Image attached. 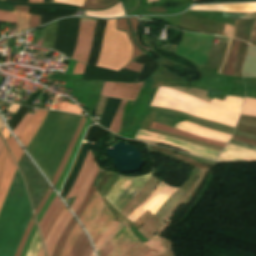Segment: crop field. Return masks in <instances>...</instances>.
I'll list each match as a JSON object with an SVG mask.
<instances>
[{"instance_id": "crop-field-36", "label": "crop field", "mask_w": 256, "mask_h": 256, "mask_svg": "<svg viewBox=\"0 0 256 256\" xmlns=\"http://www.w3.org/2000/svg\"><path fill=\"white\" fill-rule=\"evenodd\" d=\"M118 0H86L85 5L80 8L85 9H102L112 6Z\"/></svg>"}, {"instance_id": "crop-field-64", "label": "crop field", "mask_w": 256, "mask_h": 256, "mask_svg": "<svg viewBox=\"0 0 256 256\" xmlns=\"http://www.w3.org/2000/svg\"><path fill=\"white\" fill-rule=\"evenodd\" d=\"M19 105L11 103V105L8 107L7 111L15 114L16 110L18 109Z\"/></svg>"}, {"instance_id": "crop-field-34", "label": "crop field", "mask_w": 256, "mask_h": 256, "mask_svg": "<svg viewBox=\"0 0 256 256\" xmlns=\"http://www.w3.org/2000/svg\"><path fill=\"white\" fill-rule=\"evenodd\" d=\"M29 7L15 5V12L12 11H1L0 10V21L6 22H17L18 12L27 13Z\"/></svg>"}, {"instance_id": "crop-field-62", "label": "crop field", "mask_w": 256, "mask_h": 256, "mask_svg": "<svg viewBox=\"0 0 256 256\" xmlns=\"http://www.w3.org/2000/svg\"><path fill=\"white\" fill-rule=\"evenodd\" d=\"M231 139H234V140H238V141H242V142H246V143H250V144L256 145V142H254V141H250V140H247V139H244V138L235 136V135H233Z\"/></svg>"}, {"instance_id": "crop-field-9", "label": "crop field", "mask_w": 256, "mask_h": 256, "mask_svg": "<svg viewBox=\"0 0 256 256\" xmlns=\"http://www.w3.org/2000/svg\"><path fill=\"white\" fill-rule=\"evenodd\" d=\"M137 241L126 224L111 239L100 256H124Z\"/></svg>"}, {"instance_id": "crop-field-66", "label": "crop field", "mask_w": 256, "mask_h": 256, "mask_svg": "<svg viewBox=\"0 0 256 256\" xmlns=\"http://www.w3.org/2000/svg\"><path fill=\"white\" fill-rule=\"evenodd\" d=\"M162 256H172V247H171V243L168 246V248L166 249L165 253Z\"/></svg>"}, {"instance_id": "crop-field-5", "label": "crop field", "mask_w": 256, "mask_h": 256, "mask_svg": "<svg viewBox=\"0 0 256 256\" xmlns=\"http://www.w3.org/2000/svg\"><path fill=\"white\" fill-rule=\"evenodd\" d=\"M18 166L25 177L29 194L35 208L48 184L28 159L25 153L22 156Z\"/></svg>"}, {"instance_id": "crop-field-56", "label": "crop field", "mask_w": 256, "mask_h": 256, "mask_svg": "<svg viewBox=\"0 0 256 256\" xmlns=\"http://www.w3.org/2000/svg\"><path fill=\"white\" fill-rule=\"evenodd\" d=\"M53 189L51 187H49L46 195L44 196L43 200L41 201V203L39 204L38 208L35 211L36 217L40 211V209L42 208V206L44 205V203L46 202V200L48 199V197L50 196V194L52 193Z\"/></svg>"}, {"instance_id": "crop-field-73", "label": "crop field", "mask_w": 256, "mask_h": 256, "mask_svg": "<svg viewBox=\"0 0 256 256\" xmlns=\"http://www.w3.org/2000/svg\"><path fill=\"white\" fill-rule=\"evenodd\" d=\"M92 256H95V255L92 253Z\"/></svg>"}, {"instance_id": "crop-field-44", "label": "crop field", "mask_w": 256, "mask_h": 256, "mask_svg": "<svg viewBox=\"0 0 256 256\" xmlns=\"http://www.w3.org/2000/svg\"><path fill=\"white\" fill-rule=\"evenodd\" d=\"M29 16H30V14H23V13H19L18 14V29H17V33L29 29L28 28Z\"/></svg>"}, {"instance_id": "crop-field-43", "label": "crop field", "mask_w": 256, "mask_h": 256, "mask_svg": "<svg viewBox=\"0 0 256 256\" xmlns=\"http://www.w3.org/2000/svg\"><path fill=\"white\" fill-rule=\"evenodd\" d=\"M40 245H41V242H40L39 235H38V232H37V229H36V232H35V235L33 237V240H32V243L30 245L27 256H36Z\"/></svg>"}, {"instance_id": "crop-field-2", "label": "crop field", "mask_w": 256, "mask_h": 256, "mask_svg": "<svg viewBox=\"0 0 256 256\" xmlns=\"http://www.w3.org/2000/svg\"><path fill=\"white\" fill-rule=\"evenodd\" d=\"M22 177L16 170L0 212V256H14L32 218Z\"/></svg>"}, {"instance_id": "crop-field-21", "label": "crop field", "mask_w": 256, "mask_h": 256, "mask_svg": "<svg viewBox=\"0 0 256 256\" xmlns=\"http://www.w3.org/2000/svg\"><path fill=\"white\" fill-rule=\"evenodd\" d=\"M167 220L158 218L156 216H151L143 226H141L138 230L140 234L146 237L148 240L162 227V225Z\"/></svg>"}, {"instance_id": "crop-field-20", "label": "crop field", "mask_w": 256, "mask_h": 256, "mask_svg": "<svg viewBox=\"0 0 256 256\" xmlns=\"http://www.w3.org/2000/svg\"><path fill=\"white\" fill-rule=\"evenodd\" d=\"M116 27H117L118 30L126 31L130 40H131V42H132V45H133V48H134V53H133V56H132V60H134L138 55L144 53L135 44V42L132 38L131 31H130V28H129V25H128V22H127L126 18L116 20ZM132 60L124 68L140 72L143 65L138 64V63H134V62H132Z\"/></svg>"}, {"instance_id": "crop-field-65", "label": "crop field", "mask_w": 256, "mask_h": 256, "mask_svg": "<svg viewBox=\"0 0 256 256\" xmlns=\"http://www.w3.org/2000/svg\"><path fill=\"white\" fill-rule=\"evenodd\" d=\"M142 242L139 240L127 253L125 256H130L132 252L141 244Z\"/></svg>"}, {"instance_id": "crop-field-27", "label": "crop field", "mask_w": 256, "mask_h": 256, "mask_svg": "<svg viewBox=\"0 0 256 256\" xmlns=\"http://www.w3.org/2000/svg\"><path fill=\"white\" fill-rule=\"evenodd\" d=\"M89 121H90V119H87V121H86V123H85V125H84V127H83V129H82V131H81L77 141H76V144H75V146H74V148L72 150V153H71V155H70V157L68 159V162H67V164H66V166L64 168V171H63V173H62V175H61V177H60V179H59V181H58V183H57V185L55 187L58 192H60V187H61V185H62V183H63V181H64V179H65V177H66V175H67L71 165H72V162H73V159L75 157L76 151L78 149V146L80 144V141L82 139V136H83V134L85 132V129H86Z\"/></svg>"}, {"instance_id": "crop-field-52", "label": "crop field", "mask_w": 256, "mask_h": 256, "mask_svg": "<svg viewBox=\"0 0 256 256\" xmlns=\"http://www.w3.org/2000/svg\"><path fill=\"white\" fill-rule=\"evenodd\" d=\"M35 229H36V224H34L32 230H31V232H30V234H29L28 240H27V242H26L25 248H24V250H23L21 256H26V253H27V251H28V248H29V245H30V243H31L32 237H33V235H34Z\"/></svg>"}, {"instance_id": "crop-field-63", "label": "crop field", "mask_w": 256, "mask_h": 256, "mask_svg": "<svg viewBox=\"0 0 256 256\" xmlns=\"http://www.w3.org/2000/svg\"><path fill=\"white\" fill-rule=\"evenodd\" d=\"M238 123L256 127V121L240 120L239 119Z\"/></svg>"}, {"instance_id": "crop-field-58", "label": "crop field", "mask_w": 256, "mask_h": 256, "mask_svg": "<svg viewBox=\"0 0 256 256\" xmlns=\"http://www.w3.org/2000/svg\"><path fill=\"white\" fill-rule=\"evenodd\" d=\"M40 16L31 14L29 28H33L39 25Z\"/></svg>"}, {"instance_id": "crop-field-67", "label": "crop field", "mask_w": 256, "mask_h": 256, "mask_svg": "<svg viewBox=\"0 0 256 256\" xmlns=\"http://www.w3.org/2000/svg\"><path fill=\"white\" fill-rule=\"evenodd\" d=\"M1 133L3 134V136H4L5 140H6V138L9 136L10 132L8 133V131H7L6 127H5L4 130Z\"/></svg>"}, {"instance_id": "crop-field-47", "label": "crop field", "mask_w": 256, "mask_h": 256, "mask_svg": "<svg viewBox=\"0 0 256 256\" xmlns=\"http://www.w3.org/2000/svg\"><path fill=\"white\" fill-rule=\"evenodd\" d=\"M119 225L117 222H113L109 229L102 235V237L99 239V241L96 243L95 247L96 250L98 251V248L100 245L103 243V241L108 237V235Z\"/></svg>"}, {"instance_id": "crop-field-10", "label": "crop field", "mask_w": 256, "mask_h": 256, "mask_svg": "<svg viewBox=\"0 0 256 256\" xmlns=\"http://www.w3.org/2000/svg\"><path fill=\"white\" fill-rule=\"evenodd\" d=\"M140 73L121 69L119 72L86 65L83 80L98 79L111 81L136 82Z\"/></svg>"}, {"instance_id": "crop-field-59", "label": "crop field", "mask_w": 256, "mask_h": 256, "mask_svg": "<svg viewBox=\"0 0 256 256\" xmlns=\"http://www.w3.org/2000/svg\"><path fill=\"white\" fill-rule=\"evenodd\" d=\"M148 248L149 247L142 243L131 256H141Z\"/></svg>"}, {"instance_id": "crop-field-17", "label": "crop field", "mask_w": 256, "mask_h": 256, "mask_svg": "<svg viewBox=\"0 0 256 256\" xmlns=\"http://www.w3.org/2000/svg\"><path fill=\"white\" fill-rule=\"evenodd\" d=\"M47 110L38 109L36 111L34 117L31 119V121L28 123V125L23 129V131L19 134V140L26 148L27 144L29 143L30 139L35 134L36 130L40 126Z\"/></svg>"}, {"instance_id": "crop-field-48", "label": "crop field", "mask_w": 256, "mask_h": 256, "mask_svg": "<svg viewBox=\"0 0 256 256\" xmlns=\"http://www.w3.org/2000/svg\"><path fill=\"white\" fill-rule=\"evenodd\" d=\"M34 222H35V220H34V218H32V220H31V222H30V224H29V226H28V228H27V230H26V233H25V235H24V237H23V239H22V241H21V243H20V245H19V247H18V250H17L15 256H20L21 251H22V249H23V247H24V244H25V242H26V239H27V237H28V234H29V232H30V230H31V228H32V226H33V224H34Z\"/></svg>"}, {"instance_id": "crop-field-46", "label": "crop field", "mask_w": 256, "mask_h": 256, "mask_svg": "<svg viewBox=\"0 0 256 256\" xmlns=\"http://www.w3.org/2000/svg\"><path fill=\"white\" fill-rule=\"evenodd\" d=\"M128 19H129L130 25L132 27L135 41H137L138 45H140L142 48H144L146 51H148L149 50L148 48H146L140 44L138 36H137L138 20L136 18H128Z\"/></svg>"}, {"instance_id": "crop-field-23", "label": "crop field", "mask_w": 256, "mask_h": 256, "mask_svg": "<svg viewBox=\"0 0 256 256\" xmlns=\"http://www.w3.org/2000/svg\"><path fill=\"white\" fill-rule=\"evenodd\" d=\"M92 249L83 230H81L69 256H90Z\"/></svg>"}, {"instance_id": "crop-field-1", "label": "crop field", "mask_w": 256, "mask_h": 256, "mask_svg": "<svg viewBox=\"0 0 256 256\" xmlns=\"http://www.w3.org/2000/svg\"><path fill=\"white\" fill-rule=\"evenodd\" d=\"M82 116L49 110L27 151L51 181Z\"/></svg>"}, {"instance_id": "crop-field-60", "label": "crop field", "mask_w": 256, "mask_h": 256, "mask_svg": "<svg viewBox=\"0 0 256 256\" xmlns=\"http://www.w3.org/2000/svg\"><path fill=\"white\" fill-rule=\"evenodd\" d=\"M85 65L86 64H83V63H77L76 67H75V70H74V73L73 74H81L84 72V68H85Z\"/></svg>"}, {"instance_id": "crop-field-41", "label": "crop field", "mask_w": 256, "mask_h": 256, "mask_svg": "<svg viewBox=\"0 0 256 256\" xmlns=\"http://www.w3.org/2000/svg\"><path fill=\"white\" fill-rule=\"evenodd\" d=\"M28 108H29L28 106L21 105L18 111L16 112V114L10 120L8 125L12 129V131L16 127V125L19 123L21 118L24 116V114L27 112Z\"/></svg>"}, {"instance_id": "crop-field-15", "label": "crop field", "mask_w": 256, "mask_h": 256, "mask_svg": "<svg viewBox=\"0 0 256 256\" xmlns=\"http://www.w3.org/2000/svg\"><path fill=\"white\" fill-rule=\"evenodd\" d=\"M256 160V152L240 146L228 144L218 161Z\"/></svg>"}, {"instance_id": "crop-field-37", "label": "crop field", "mask_w": 256, "mask_h": 256, "mask_svg": "<svg viewBox=\"0 0 256 256\" xmlns=\"http://www.w3.org/2000/svg\"><path fill=\"white\" fill-rule=\"evenodd\" d=\"M80 230H81V228L76 222V224H75V226H74V228H73V230H72V232H71V234H70V236L67 240V243L64 247V250H63L61 256H68V254L70 252V249H71V247H72V245H73V243H74V241H75V239H76Z\"/></svg>"}, {"instance_id": "crop-field-16", "label": "crop field", "mask_w": 256, "mask_h": 256, "mask_svg": "<svg viewBox=\"0 0 256 256\" xmlns=\"http://www.w3.org/2000/svg\"><path fill=\"white\" fill-rule=\"evenodd\" d=\"M114 218L115 217L113 216L111 211L105 205L104 209L102 210L100 216L98 217L97 221L95 222L93 228L89 233V235L93 240L94 245L98 241V239L101 237V235L105 232V230L113 222Z\"/></svg>"}, {"instance_id": "crop-field-38", "label": "crop field", "mask_w": 256, "mask_h": 256, "mask_svg": "<svg viewBox=\"0 0 256 256\" xmlns=\"http://www.w3.org/2000/svg\"><path fill=\"white\" fill-rule=\"evenodd\" d=\"M126 102L125 100L122 101L116 115H115V118L109 128V130L113 131L114 133H118L119 129H120V122H121V118H122V114H123V111H124V108H125V105H126Z\"/></svg>"}, {"instance_id": "crop-field-35", "label": "crop field", "mask_w": 256, "mask_h": 256, "mask_svg": "<svg viewBox=\"0 0 256 256\" xmlns=\"http://www.w3.org/2000/svg\"><path fill=\"white\" fill-rule=\"evenodd\" d=\"M75 220L74 218L72 217L71 221L69 222V224L67 225L66 229L64 230V232L62 233L57 245H56V248L53 252V255L52 256H60V253L65 245V242L67 240V237L70 233V231L72 230L74 224H75Z\"/></svg>"}, {"instance_id": "crop-field-61", "label": "crop field", "mask_w": 256, "mask_h": 256, "mask_svg": "<svg viewBox=\"0 0 256 256\" xmlns=\"http://www.w3.org/2000/svg\"><path fill=\"white\" fill-rule=\"evenodd\" d=\"M160 255H162V253L149 248L142 256H160Z\"/></svg>"}, {"instance_id": "crop-field-30", "label": "crop field", "mask_w": 256, "mask_h": 256, "mask_svg": "<svg viewBox=\"0 0 256 256\" xmlns=\"http://www.w3.org/2000/svg\"><path fill=\"white\" fill-rule=\"evenodd\" d=\"M151 127L161 129V130H165V131H168V132H171V133H174V134L186 136V137H189V138H193V139H196V140L204 141V142L211 143V144H214V145L222 146V147H224V145H225V143H221V142H218V141H214V140L202 138V137H199V136H195V135H192V134H189V133H185V132H182V131H179V130H175V129L166 127V126L158 124V123H154V122L152 123Z\"/></svg>"}, {"instance_id": "crop-field-51", "label": "crop field", "mask_w": 256, "mask_h": 256, "mask_svg": "<svg viewBox=\"0 0 256 256\" xmlns=\"http://www.w3.org/2000/svg\"><path fill=\"white\" fill-rule=\"evenodd\" d=\"M126 223L123 221L111 234L110 236L107 238V240L104 242L103 245H101L98 255H100L101 251L104 249V247L107 245V243L110 241V239L116 234V232L125 225Z\"/></svg>"}, {"instance_id": "crop-field-18", "label": "crop field", "mask_w": 256, "mask_h": 256, "mask_svg": "<svg viewBox=\"0 0 256 256\" xmlns=\"http://www.w3.org/2000/svg\"><path fill=\"white\" fill-rule=\"evenodd\" d=\"M16 166L10 156L8 155L2 175L1 185H0V210L2 208L4 199L6 197L8 188L13 180Z\"/></svg>"}, {"instance_id": "crop-field-8", "label": "crop field", "mask_w": 256, "mask_h": 256, "mask_svg": "<svg viewBox=\"0 0 256 256\" xmlns=\"http://www.w3.org/2000/svg\"><path fill=\"white\" fill-rule=\"evenodd\" d=\"M95 21L94 19L81 18L77 45L71 58L87 62Z\"/></svg>"}, {"instance_id": "crop-field-39", "label": "crop field", "mask_w": 256, "mask_h": 256, "mask_svg": "<svg viewBox=\"0 0 256 256\" xmlns=\"http://www.w3.org/2000/svg\"><path fill=\"white\" fill-rule=\"evenodd\" d=\"M242 114L256 116V99L245 97Z\"/></svg>"}, {"instance_id": "crop-field-4", "label": "crop field", "mask_w": 256, "mask_h": 256, "mask_svg": "<svg viewBox=\"0 0 256 256\" xmlns=\"http://www.w3.org/2000/svg\"><path fill=\"white\" fill-rule=\"evenodd\" d=\"M132 45L124 32L115 29V20H108L97 66L119 71L131 59Z\"/></svg>"}, {"instance_id": "crop-field-26", "label": "crop field", "mask_w": 256, "mask_h": 256, "mask_svg": "<svg viewBox=\"0 0 256 256\" xmlns=\"http://www.w3.org/2000/svg\"><path fill=\"white\" fill-rule=\"evenodd\" d=\"M86 119L87 118L83 116L81 121H80V123H79V125H78V127H77V130H76V132H75V134L73 136V139H72V141H71V143H70V145H69V147L67 149V152H66V154H65V156H64V158H63V160H62V162H61V164H60V166H59V168H58V170H57V172H56L52 182H51L53 186H55V184H56V182H57V180H58V178H59V176H60V174H61V172H62V170H63V168H64V166L66 164V162H67V159H68V157L70 155V152H71V150H72V148H73V146L75 144V141H76V139H77V137H78V135H79V133H80V131H81L85 121H86Z\"/></svg>"}, {"instance_id": "crop-field-54", "label": "crop field", "mask_w": 256, "mask_h": 256, "mask_svg": "<svg viewBox=\"0 0 256 256\" xmlns=\"http://www.w3.org/2000/svg\"><path fill=\"white\" fill-rule=\"evenodd\" d=\"M56 195V193L53 191V193L51 194L50 198L48 199V201L46 202V204L43 206L38 218H37V221L38 223L40 222L45 210L47 209V207L49 206V204L51 203L52 199L54 198V196Z\"/></svg>"}, {"instance_id": "crop-field-3", "label": "crop field", "mask_w": 256, "mask_h": 256, "mask_svg": "<svg viewBox=\"0 0 256 256\" xmlns=\"http://www.w3.org/2000/svg\"><path fill=\"white\" fill-rule=\"evenodd\" d=\"M151 105L183 111L233 127L239 117L236 114L212 106L198 98L165 87L158 89Z\"/></svg>"}, {"instance_id": "crop-field-32", "label": "crop field", "mask_w": 256, "mask_h": 256, "mask_svg": "<svg viewBox=\"0 0 256 256\" xmlns=\"http://www.w3.org/2000/svg\"><path fill=\"white\" fill-rule=\"evenodd\" d=\"M239 44H240V41L234 39L229 61H228L222 74H228V75L233 76L234 70H235V65H236Z\"/></svg>"}, {"instance_id": "crop-field-53", "label": "crop field", "mask_w": 256, "mask_h": 256, "mask_svg": "<svg viewBox=\"0 0 256 256\" xmlns=\"http://www.w3.org/2000/svg\"><path fill=\"white\" fill-rule=\"evenodd\" d=\"M7 154H8V151L4 145L2 151L0 152V179H1L2 171H3L4 160L7 156Z\"/></svg>"}, {"instance_id": "crop-field-25", "label": "crop field", "mask_w": 256, "mask_h": 256, "mask_svg": "<svg viewBox=\"0 0 256 256\" xmlns=\"http://www.w3.org/2000/svg\"><path fill=\"white\" fill-rule=\"evenodd\" d=\"M98 168H99L98 165L94 162V164L92 166V169H91V171H90L86 181L82 185V187H81V189H80L76 199L74 200V202L72 204L71 209H72V211L74 213L76 212V210L78 209L80 203L82 202V200H83V198H84V196H85V194H86V192H87V190H88V188H89V186H90V184H91V182H92V180H93V178H94Z\"/></svg>"}, {"instance_id": "crop-field-50", "label": "crop field", "mask_w": 256, "mask_h": 256, "mask_svg": "<svg viewBox=\"0 0 256 256\" xmlns=\"http://www.w3.org/2000/svg\"><path fill=\"white\" fill-rule=\"evenodd\" d=\"M64 207H65V206H64V204L62 203V205L60 206V208H59V209L57 210V212L55 213V215H54V217H53V219H52V221H51V223H50V225H49V227H48V229H47V231H46V233H45V235H44V237H43V241H44L45 238L47 237L49 231H50L51 228L53 227V225H54L56 219L58 218V216L60 215V213L62 212V210L64 209Z\"/></svg>"}, {"instance_id": "crop-field-71", "label": "crop field", "mask_w": 256, "mask_h": 256, "mask_svg": "<svg viewBox=\"0 0 256 256\" xmlns=\"http://www.w3.org/2000/svg\"><path fill=\"white\" fill-rule=\"evenodd\" d=\"M2 125H3V124H2V122H1V120H0V128H1Z\"/></svg>"}, {"instance_id": "crop-field-33", "label": "crop field", "mask_w": 256, "mask_h": 256, "mask_svg": "<svg viewBox=\"0 0 256 256\" xmlns=\"http://www.w3.org/2000/svg\"><path fill=\"white\" fill-rule=\"evenodd\" d=\"M103 172H104V169L100 168L98 173H97V175H96V177H95V179H94V181H93V183H92V185H91V187H90V189L88 190V192H87L83 202L81 203L79 209L77 210V212L75 214L78 218L80 217V215L83 212L86 204L88 203L90 197L92 196V194H93V192H94V190H95V188H96V186L98 184V181H99V179H100V177H101Z\"/></svg>"}, {"instance_id": "crop-field-70", "label": "crop field", "mask_w": 256, "mask_h": 256, "mask_svg": "<svg viewBox=\"0 0 256 256\" xmlns=\"http://www.w3.org/2000/svg\"><path fill=\"white\" fill-rule=\"evenodd\" d=\"M41 250H42V246H41V248H40V252H39V255H38V256H40V254H41Z\"/></svg>"}, {"instance_id": "crop-field-40", "label": "crop field", "mask_w": 256, "mask_h": 256, "mask_svg": "<svg viewBox=\"0 0 256 256\" xmlns=\"http://www.w3.org/2000/svg\"><path fill=\"white\" fill-rule=\"evenodd\" d=\"M16 162L18 163L19 159L23 155V150L20 148V146L17 144V142L14 140L13 137H10L6 140Z\"/></svg>"}, {"instance_id": "crop-field-24", "label": "crop field", "mask_w": 256, "mask_h": 256, "mask_svg": "<svg viewBox=\"0 0 256 256\" xmlns=\"http://www.w3.org/2000/svg\"><path fill=\"white\" fill-rule=\"evenodd\" d=\"M242 99L226 96L224 101L214 98L210 103L239 115Z\"/></svg>"}, {"instance_id": "crop-field-11", "label": "crop field", "mask_w": 256, "mask_h": 256, "mask_svg": "<svg viewBox=\"0 0 256 256\" xmlns=\"http://www.w3.org/2000/svg\"><path fill=\"white\" fill-rule=\"evenodd\" d=\"M142 84L105 82L101 95L134 101Z\"/></svg>"}, {"instance_id": "crop-field-42", "label": "crop field", "mask_w": 256, "mask_h": 256, "mask_svg": "<svg viewBox=\"0 0 256 256\" xmlns=\"http://www.w3.org/2000/svg\"><path fill=\"white\" fill-rule=\"evenodd\" d=\"M55 109H60V110L75 113V114H82V110L79 107H77L76 104L70 105V104H66L58 101V103L55 106Z\"/></svg>"}, {"instance_id": "crop-field-45", "label": "crop field", "mask_w": 256, "mask_h": 256, "mask_svg": "<svg viewBox=\"0 0 256 256\" xmlns=\"http://www.w3.org/2000/svg\"><path fill=\"white\" fill-rule=\"evenodd\" d=\"M32 114H28L26 113V115L24 116V118L21 120V122L18 124V126L15 128V130L13 131L14 134L17 135L22 131V129L27 125V123L30 121V119L32 118Z\"/></svg>"}, {"instance_id": "crop-field-55", "label": "crop field", "mask_w": 256, "mask_h": 256, "mask_svg": "<svg viewBox=\"0 0 256 256\" xmlns=\"http://www.w3.org/2000/svg\"><path fill=\"white\" fill-rule=\"evenodd\" d=\"M54 2L81 6L83 5L84 0H54Z\"/></svg>"}, {"instance_id": "crop-field-57", "label": "crop field", "mask_w": 256, "mask_h": 256, "mask_svg": "<svg viewBox=\"0 0 256 256\" xmlns=\"http://www.w3.org/2000/svg\"><path fill=\"white\" fill-rule=\"evenodd\" d=\"M67 211H68V210H67V208L65 207V209L63 210V212L61 213V215H60L59 218L57 219V221H56L54 227L52 228L51 232H50L49 235H48V238H47V240H46V242H45L46 246H47V244H48V241H49V239H50V237H51V235H52V233H53L55 227L57 226V224L60 222V220L63 218V216L66 214Z\"/></svg>"}, {"instance_id": "crop-field-14", "label": "crop field", "mask_w": 256, "mask_h": 256, "mask_svg": "<svg viewBox=\"0 0 256 256\" xmlns=\"http://www.w3.org/2000/svg\"><path fill=\"white\" fill-rule=\"evenodd\" d=\"M160 180L151 175L142 190L120 211L124 216H128L139 204L143 203L152 193Z\"/></svg>"}, {"instance_id": "crop-field-22", "label": "crop field", "mask_w": 256, "mask_h": 256, "mask_svg": "<svg viewBox=\"0 0 256 256\" xmlns=\"http://www.w3.org/2000/svg\"><path fill=\"white\" fill-rule=\"evenodd\" d=\"M93 161H94V159H93V157H92V155L89 151V153H88V155H87V157H86V159L83 163V166L80 170V173L77 177V180H76L75 184L73 185V187L71 188L68 195L66 196V198H71V197L77 195V193H78V191H79V189H80V187H81V185H82V183H83V181H84V179H85Z\"/></svg>"}, {"instance_id": "crop-field-68", "label": "crop field", "mask_w": 256, "mask_h": 256, "mask_svg": "<svg viewBox=\"0 0 256 256\" xmlns=\"http://www.w3.org/2000/svg\"><path fill=\"white\" fill-rule=\"evenodd\" d=\"M3 145H4V143H3L2 139L0 138V151H1L2 147H3Z\"/></svg>"}, {"instance_id": "crop-field-28", "label": "crop field", "mask_w": 256, "mask_h": 256, "mask_svg": "<svg viewBox=\"0 0 256 256\" xmlns=\"http://www.w3.org/2000/svg\"><path fill=\"white\" fill-rule=\"evenodd\" d=\"M71 214L68 213L66 214V216L64 217V219L61 221V223L57 226V228L55 229L50 241H49V244L47 246V252H48V256H51L52 255V252L55 248V245L61 235V233L63 232L64 228L66 227V225L68 224L69 220L71 219Z\"/></svg>"}, {"instance_id": "crop-field-12", "label": "crop field", "mask_w": 256, "mask_h": 256, "mask_svg": "<svg viewBox=\"0 0 256 256\" xmlns=\"http://www.w3.org/2000/svg\"><path fill=\"white\" fill-rule=\"evenodd\" d=\"M104 205L105 204L100 194L95 191L79 219L84 227L87 229L88 233L92 228L94 222L96 221L98 215L100 214L101 210L103 209Z\"/></svg>"}, {"instance_id": "crop-field-6", "label": "crop field", "mask_w": 256, "mask_h": 256, "mask_svg": "<svg viewBox=\"0 0 256 256\" xmlns=\"http://www.w3.org/2000/svg\"><path fill=\"white\" fill-rule=\"evenodd\" d=\"M135 138L164 143V144L170 145L172 147L180 148L184 151L198 154L201 156H205V157L215 159V160H217L218 154H219V152H217L215 150L207 149L204 147L196 146V145L182 142L179 140H175V139H172L169 137H165L162 135H158V134H154V133H150V132H146V131H141V130L138 131Z\"/></svg>"}, {"instance_id": "crop-field-7", "label": "crop field", "mask_w": 256, "mask_h": 256, "mask_svg": "<svg viewBox=\"0 0 256 256\" xmlns=\"http://www.w3.org/2000/svg\"><path fill=\"white\" fill-rule=\"evenodd\" d=\"M176 190H178V188H172L161 182L153 191L148 200L138 206L127 218L134 222L148 209L150 210L151 214L154 215L158 211L161 204L165 202L167 198Z\"/></svg>"}, {"instance_id": "crop-field-29", "label": "crop field", "mask_w": 256, "mask_h": 256, "mask_svg": "<svg viewBox=\"0 0 256 256\" xmlns=\"http://www.w3.org/2000/svg\"><path fill=\"white\" fill-rule=\"evenodd\" d=\"M61 201L59 200V198L56 197L53 199L52 203L50 204V206L48 207V209L46 210L39 226L41 229V233H42V237L47 229V226L50 222V220L52 219L54 213L56 212V210L58 209V207L61 205Z\"/></svg>"}, {"instance_id": "crop-field-13", "label": "crop field", "mask_w": 256, "mask_h": 256, "mask_svg": "<svg viewBox=\"0 0 256 256\" xmlns=\"http://www.w3.org/2000/svg\"><path fill=\"white\" fill-rule=\"evenodd\" d=\"M175 129L183 130L192 134H196L202 137L218 140L225 143H227L231 137L230 135H227L218 131L210 130V129L192 124L187 121L183 123H179L175 127Z\"/></svg>"}, {"instance_id": "crop-field-19", "label": "crop field", "mask_w": 256, "mask_h": 256, "mask_svg": "<svg viewBox=\"0 0 256 256\" xmlns=\"http://www.w3.org/2000/svg\"><path fill=\"white\" fill-rule=\"evenodd\" d=\"M190 10H220L229 12H255L256 2L247 4H233V5H206L195 6Z\"/></svg>"}, {"instance_id": "crop-field-69", "label": "crop field", "mask_w": 256, "mask_h": 256, "mask_svg": "<svg viewBox=\"0 0 256 256\" xmlns=\"http://www.w3.org/2000/svg\"><path fill=\"white\" fill-rule=\"evenodd\" d=\"M29 2H42L43 3V0H29Z\"/></svg>"}, {"instance_id": "crop-field-49", "label": "crop field", "mask_w": 256, "mask_h": 256, "mask_svg": "<svg viewBox=\"0 0 256 256\" xmlns=\"http://www.w3.org/2000/svg\"><path fill=\"white\" fill-rule=\"evenodd\" d=\"M127 14L139 6V0H123Z\"/></svg>"}, {"instance_id": "crop-field-31", "label": "crop field", "mask_w": 256, "mask_h": 256, "mask_svg": "<svg viewBox=\"0 0 256 256\" xmlns=\"http://www.w3.org/2000/svg\"><path fill=\"white\" fill-rule=\"evenodd\" d=\"M86 15H91V16H99V17H117V16H123V10L121 3H118L116 6L109 8L107 10H102V11H86Z\"/></svg>"}, {"instance_id": "crop-field-72", "label": "crop field", "mask_w": 256, "mask_h": 256, "mask_svg": "<svg viewBox=\"0 0 256 256\" xmlns=\"http://www.w3.org/2000/svg\"><path fill=\"white\" fill-rule=\"evenodd\" d=\"M41 256H44V252H43V250H42V254H41Z\"/></svg>"}]
</instances>
